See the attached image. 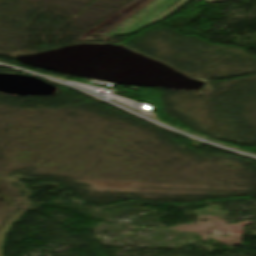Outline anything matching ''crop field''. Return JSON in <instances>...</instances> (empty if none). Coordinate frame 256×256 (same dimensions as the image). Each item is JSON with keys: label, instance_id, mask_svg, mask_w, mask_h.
Returning a JSON list of instances; mask_svg holds the SVG:
<instances>
[{"label": "crop field", "instance_id": "obj_1", "mask_svg": "<svg viewBox=\"0 0 256 256\" xmlns=\"http://www.w3.org/2000/svg\"><path fill=\"white\" fill-rule=\"evenodd\" d=\"M151 1H153V0H134V1H132L131 3L126 5L124 8H122L121 10L116 12L114 15L109 17L107 20L102 22L100 25H98L97 27L88 31L86 34H90V33L105 34L109 31H111L113 28H115L117 25L122 23L124 20H126L128 17L133 15L135 12H137L139 9H141L142 7H144Z\"/></svg>", "mask_w": 256, "mask_h": 256}, {"label": "crop field", "instance_id": "obj_2", "mask_svg": "<svg viewBox=\"0 0 256 256\" xmlns=\"http://www.w3.org/2000/svg\"><path fill=\"white\" fill-rule=\"evenodd\" d=\"M205 2H212V3H215V2H221V1H227V0H204Z\"/></svg>", "mask_w": 256, "mask_h": 256}]
</instances>
